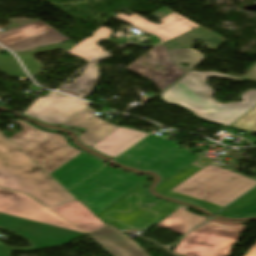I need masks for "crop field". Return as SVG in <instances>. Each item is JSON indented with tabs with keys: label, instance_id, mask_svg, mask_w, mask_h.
Wrapping results in <instances>:
<instances>
[{
	"label": "crop field",
	"instance_id": "8a807250",
	"mask_svg": "<svg viewBox=\"0 0 256 256\" xmlns=\"http://www.w3.org/2000/svg\"><path fill=\"white\" fill-rule=\"evenodd\" d=\"M0 188L28 194L48 208L75 200L2 132H0Z\"/></svg>",
	"mask_w": 256,
	"mask_h": 256
},
{
	"label": "crop field",
	"instance_id": "ac0d7876",
	"mask_svg": "<svg viewBox=\"0 0 256 256\" xmlns=\"http://www.w3.org/2000/svg\"><path fill=\"white\" fill-rule=\"evenodd\" d=\"M208 76L239 79L216 72L200 73L191 71L161 97L168 103H177L191 110L200 118L226 126H229L256 106V90L253 89L240 96L243 98L240 103L222 104L212 100L209 96L213 95L214 91L205 84L204 79Z\"/></svg>",
	"mask_w": 256,
	"mask_h": 256
},
{
	"label": "crop field",
	"instance_id": "34b2d1b8",
	"mask_svg": "<svg viewBox=\"0 0 256 256\" xmlns=\"http://www.w3.org/2000/svg\"><path fill=\"white\" fill-rule=\"evenodd\" d=\"M147 181L148 179L96 216L104 224L110 223L123 232L144 233L181 206L168 201L143 206L149 199L142 192Z\"/></svg>",
	"mask_w": 256,
	"mask_h": 256
},
{
	"label": "crop field",
	"instance_id": "412701ff",
	"mask_svg": "<svg viewBox=\"0 0 256 256\" xmlns=\"http://www.w3.org/2000/svg\"><path fill=\"white\" fill-rule=\"evenodd\" d=\"M232 177L236 179L230 181ZM255 185L247 177L208 165L171 191L224 207Z\"/></svg>",
	"mask_w": 256,
	"mask_h": 256
},
{
	"label": "crop field",
	"instance_id": "f4fd0767",
	"mask_svg": "<svg viewBox=\"0 0 256 256\" xmlns=\"http://www.w3.org/2000/svg\"><path fill=\"white\" fill-rule=\"evenodd\" d=\"M52 211L89 233L113 256H149L131 238L109 224L104 225L88 208L77 200L50 208Z\"/></svg>",
	"mask_w": 256,
	"mask_h": 256
},
{
	"label": "crop field",
	"instance_id": "dd49c442",
	"mask_svg": "<svg viewBox=\"0 0 256 256\" xmlns=\"http://www.w3.org/2000/svg\"><path fill=\"white\" fill-rule=\"evenodd\" d=\"M146 178L129 176L105 166L69 192L96 215Z\"/></svg>",
	"mask_w": 256,
	"mask_h": 256
},
{
	"label": "crop field",
	"instance_id": "e52e79f7",
	"mask_svg": "<svg viewBox=\"0 0 256 256\" xmlns=\"http://www.w3.org/2000/svg\"><path fill=\"white\" fill-rule=\"evenodd\" d=\"M114 160L124 165L158 170L164 177H170L196 159L192 153L151 135Z\"/></svg>",
	"mask_w": 256,
	"mask_h": 256
},
{
	"label": "crop field",
	"instance_id": "d8731c3e",
	"mask_svg": "<svg viewBox=\"0 0 256 256\" xmlns=\"http://www.w3.org/2000/svg\"><path fill=\"white\" fill-rule=\"evenodd\" d=\"M15 121L22 130L9 139L48 173L81 153L69 146L60 135L42 132L20 119Z\"/></svg>",
	"mask_w": 256,
	"mask_h": 256
},
{
	"label": "crop field",
	"instance_id": "5a996713",
	"mask_svg": "<svg viewBox=\"0 0 256 256\" xmlns=\"http://www.w3.org/2000/svg\"><path fill=\"white\" fill-rule=\"evenodd\" d=\"M244 228V225L227 226L210 221L184 236L174 253L182 256H229Z\"/></svg>",
	"mask_w": 256,
	"mask_h": 256
},
{
	"label": "crop field",
	"instance_id": "3316defc",
	"mask_svg": "<svg viewBox=\"0 0 256 256\" xmlns=\"http://www.w3.org/2000/svg\"><path fill=\"white\" fill-rule=\"evenodd\" d=\"M0 229L16 232L18 236L29 240L32 248L10 249L0 247V256H9L10 250H40L65 244L83 233L72 230L32 222L0 213Z\"/></svg>",
	"mask_w": 256,
	"mask_h": 256
},
{
	"label": "crop field",
	"instance_id": "28ad6ade",
	"mask_svg": "<svg viewBox=\"0 0 256 256\" xmlns=\"http://www.w3.org/2000/svg\"><path fill=\"white\" fill-rule=\"evenodd\" d=\"M0 212L83 232L28 196L5 190H0Z\"/></svg>",
	"mask_w": 256,
	"mask_h": 256
},
{
	"label": "crop field",
	"instance_id": "d1516ede",
	"mask_svg": "<svg viewBox=\"0 0 256 256\" xmlns=\"http://www.w3.org/2000/svg\"><path fill=\"white\" fill-rule=\"evenodd\" d=\"M67 40V37L41 21L0 33V44L16 52Z\"/></svg>",
	"mask_w": 256,
	"mask_h": 256
},
{
	"label": "crop field",
	"instance_id": "22f410ed",
	"mask_svg": "<svg viewBox=\"0 0 256 256\" xmlns=\"http://www.w3.org/2000/svg\"><path fill=\"white\" fill-rule=\"evenodd\" d=\"M86 102L76 98L61 97L49 92L39 98L24 113L27 116L38 114V120H46L53 124H62L87 107Z\"/></svg>",
	"mask_w": 256,
	"mask_h": 256
},
{
	"label": "crop field",
	"instance_id": "cbeb9de0",
	"mask_svg": "<svg viewBox=\"0 0 256 256\" xmlns=\"http://www.w3.org/2000/svg\"><path fill=\"white\" fill-rule=\"evenodd\" d=\"M150 54L153 56L155 60H135L132 64L127 66V68L128 70L134 73L141 74L153 80L162 92L167 86H169L172 82H174L185 72L180 68L176 67L175 65H173L174 63L172 64L168 52L163 44L152 48ZM141 62L163 64L167 68V71L165 73L155 71L149 67L141 65Z\"/></svg>",
	"mask_w": 256,
	"mask_h": 256
},
{
	"label": "crop field",
	"instance_id": "5142ce71",
	"mask_svg": "<svg viewBox=\"0 0 256 256\" xmlns=\"http://www.w3.org/2000/svg\"><path fill=\"white\" fill-rule=\"evenodd\" d=\"M127 12L131 13L132 15L130 17L119 13L115 16V18L120 19L122 21H125L127 23H130L150 34L157 35L163 42L174 38L181 33L190 30L191 28H194L198 26L197 24L179 16H176L160 25L151 23L144 18L126 10Z\"/></svg>",
	"mask_w": 256,
	"mask_h": 256
},
{
	"label": "crop field",
	"instance_id": "d9b57169",
	"mask_svg": "<svg viewBox=\"0 0 256 256\" xmlns=\"http://www.w3.org/2000/svg\"><path fill=\"white\" fill-rule=\"evenodd\" d=\"M94 112L96 111L88 107L63 124L65 126L85 128L87 130L86 133L78 137L87 147L92 146L119 127L99 118L93 114Z\"/></svg>",
	"mask_w": 256,
	"mask_h": 256
},
{
	"label": "crop field",
	"instance_id": "733c2abd",
	"mask_svg": "<svg viewBox=\"0 0 256 256\" xmlns=\"http://www.w3.org/2000/svg\"><path fill=\"white\" fill-rule=\"evenodd\" d=\"M102 165L82 152L49 175L68 190Z\"/></svg>",
	"mask_w": 256,
	"mask_h": 256
},
{
	"label": "crop field",
	"instance_id": "4a817a6b",
	"mask_svg": "<svg viewBox=\"0 0 256 256\" xmlns=\"http://www.w3.org/2000/svg\"><path fill=\"white\" fill-rule=\"evenodd\" d=\"M148 134L120 127L90 148L113 159Z\"/></svg>",
	"mask_w": 256,
	"mask_h": 256
},
{
	"label": "crop field",
	"instance_id": "bc2a9ffb",
	"mask_svg": "<svg viewBox=\"0 0 256 256\" xmlns=\"http://www.w3.org/2000/svg\"><path fill=\"white\" fill-rule=\"evenodd\" d=\"M194 40L201 41L208 47L209 50L212 51H215L227 42L214 32L203 27H199L172 40H169L164 44L167 46V48H191Z\"/></svg>",
	"mask_w": 256,
	"mask_h": 256
},
{
	"label": "crop field",
	"instance_id": "214f88e0",
	"mask_svg": "<svg viewBox=\"0 0 256 256\" xmlns=\"http://www.w3.org/2000/svg\"><path fill=\"white\" fill-rule=\"evenodd\" d=\"M108 57H111L109 53L91 60L81 77L73 80L72 84L66 85L62 89L77 92L79 93V97L81 98L91 94L94 86L99 79L96 64Z\"/></svg>",
	"mask_w": 256,
	"mask_h": 256
},
{
	"label": "crop field",
	"instance_id": "92a150f3",
	"mask_svg": "<svg viewBox=\"0 0 256 256\" xmlns=\"http://www.w3.org/2000/svg\"><path fill=\"white\" fill-rule=\"evenodd\" d=\"M203 220L205 218L178 208L156 226L184 234Z\"/></svg>",
	"mask_w": 256,
	"mask_h": 256
},
{
	"label": "crop field",
	"instance_id": "dafd665d",
	"mask_svg": "<svg viewBox=\"0 0 256 256\" xmlns=\"http://www.w3.org/2000/svg\"><path fill=\"white\" fill-rule=\"evenodd\" d=\"M112 35V30L105 27H100L97 31L94 32L92 38H86L75 47H73L68 53L76 55L86 61L87 57H95L99 54L106 52L104 49L100 48L96 44Z\"/></svg>",
	"mask_w": 256,
	"mask_h": 256
},
{
	"label": "crop field",
	"instance_id": "00972430",
	"mask_svg": "<svg viewBox=\"0 0 256 256\" xmlns=\"http://www.w3.org/2000/svg\"><path fill=\"white\" fill-rule=\"evenodd\" d=\"M75 45H76L75 43H73L72 41H69V42L61 44V45L49 46V47L33 50L29 53L20 54V55H18V57L20 58L23 65L25 66V68L28 70V72L32 76V75L36 74L37 72H39L40 70L44 69V67L41 65V63L33 58V56H32L33 54L50 51V50H54V49H59V50L67 52Z\"/></svg>",
	"mask_w": 256,
	"mask_h": 256
},
{
	"label": "crop field",
	"instance_id": "a9b5d70f",
	"mask_svg": "<svg viewBox=\"0 0 256 256\" xmlns=\"http://www.w3.org/2000/svg\"><path fill=\"white\" fill-rule=\"evenodd\" d=\"M169 51L171 53L173 61L178 66L182 67L186 72L200 59L203 58L202 54L193 49H169ZM179 63H190V66L186 68L184 66H181Z\"/></svg>",
	"mask_w": 256,
	"mask_h": 256
},
{
	"label": "crop field",
	"instance_id": "4177f3b9",
	"mask_svg": "<svg viewBox=\"0 0 256 256\" xmlns=\"http://www.w3.org/2000/svg\"><path fill=\"white\" fill-rule=\"evenodd\" d=\"M201 168L191 164L185 169H183L181 172L173 176L171 179H169L159 187L155 188V190L159 192L161 195H163L164 193L175 187L177 184H179L180 182H182L183 180H185L186 178H188Z\"/></svg>",
	"mask_w": 256,
	"mask_h": 256
},
{
	"label": "crop field",
	"instance_id": "730fd06b",
	"mask_svg": "<svg viewBox=\"0 0 256 256\" xmlns=\"http://www.w3.org/2000/svg\"><path fill=\"white\" fill-rule=\"evenodd\" d=\"M256 200V188L250 191L248 194L243 196L241 199L230 205L229 207L225 208L221 212L216 215L223 216V217H232L251 203Z\"/></svg>",
	"mask_w": 256,
	"mask_h": 256
},
{
	"label": "crop field",
	"instance_id": "eef30255",
	"mask_svg": "<svg viewBox=\"0 0 256 256\" xmlns=\"http://www.w3.org/2000/svg\"><path fill=\"white\" fill-rule=\"evenodd\" d=\"M0 71L15 77H27V74L15 60L13 55L3 56L0 55Z\"/></svg>",
	"mask_w": 256,
	"mask_h": 256
},
{
	"label": "crop field",
	"instance_id": "ae1a2a85",
	"mask_svg": "<svg viewBox=\"0 0 256 256\" xmlns=\"http://www.w3.org/2000/svg\"><path fill=\"white\" fill-rule=\"evenodd\" d=\"M230 127L256 133V107L246 113Z\"/></svg>",
	"mask_w": 256,
	"mask_h": 256
},
{
	"label": "crop field",
	"instance_id": "d3111659",
	"mask_svg": "<svg viewBox=\"0 0 256 256\" xmlns=\"http://www.w3.org/2000/svg\"><path fill=\"white\" fill-rule=\"evenodd\" d=\"M165 195H169V196H182V197H187V196H184V195H181V194H177V193H174V192H167ZM187 198H190V197H187ZM193 199V198H191ZM196 200V199H194ZM197 201H200V200H197ZM203 203L205 209L215 213L217 212L218 210H220L222 207H219V206H216V205H212V204H209V203H206V202H203V201H200Z\"/></svg>",
	"mask_w": 256,
	"mask_h": 256
},
{
	"label": "crop field",
	"instance_id": "750c4746",
	"mask_svg": "<svg viewBox=\"0 0 256 256\" xmlns=\"http://www.w3.org/2000/svg\"><path fill=\"white\" fill-rule=\"evenodd\" d=\"M253 213H256V201L253 204H251L250 206H248L247 208H245L244 210H242L241 212H239L238 214L236 213L237 215H235V216H239V215H243V214H253Z\"/></svg>",
	"mask_w": 256,
	"mask_h": 256
},
{
	"label": "crop field",
	"instance_id": "bd1437ed",
	"mask_svg": "<svg viewBox=\"0 0 256 256\" xmlns=\"http://www.w3.org/2000/svg\"><path fill=\"white\" fill-rule=\"evenodd\" d=\"M245 256H256V243L251 247Z\"/></svg>",
	"mask_w": 256,
	"mask_h": 256
},
{
	"label": "crop field",
	"instance_id": "1d83c4d3",
	"mask_svg": "<svg viewBox=\"0 0 256 256\" xmlns=\"http://www.w3.org/2000/svg\"><path fill=\"white\" fill-rule=\"evenodd\" d=\"M250 71L252 72V74L246 80L256 81V66L253 67Z\"/></svg>",
	"mask_w": 256,
	"mask_h": 256
},
{
	"label": "crop field",
	"instance_id": "120bbe31",
	"mask_svg": "<svg viewBox=\"0 0 256 256\" xmlns=\"http://www.w3.org/2000/svg\"><path fill=\"white\" fill-rule=\"evenodd\" d=\"M149 38V41L151 42V45L152 44H157V43H159V42H161L157 37H155V36H150V37H148Z\"/></svg>",
	"mask_w": 256,
	"mask_h": 256
},
{
	"label": "crop field",
	"instance_id": "d32e631a",
	"mask_svg": "<svg viewBox=\"0 0 256 256\" xmlns=\"http://www.w3.org/2000/svg\"><path fill=\"white\" fill-rule=\"evenodd\" d=\"M0 49H2V48L0 47Z\"/></svg>",
	"mask_w": 256,
	"mask_h": 256
}]
</instances>
